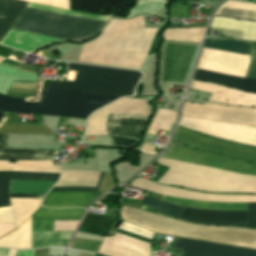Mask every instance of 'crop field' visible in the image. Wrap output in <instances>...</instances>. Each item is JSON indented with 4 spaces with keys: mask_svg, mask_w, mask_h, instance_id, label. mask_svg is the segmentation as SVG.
I'll use <instances>...</instances> for the list:
<instances>
[{
    "mask_svg": "<svg viewBox=\"0 0 256 256\" xmlns=\"http://www.w3.org/2000/svg\"><path fill=\"white\" fill-rule=\"evenodd\" d=\"M111 141H112V145L129 147L136 144L138 140H133L129 138L111 137Z\"/></svg>",
    "mask_w": 256,
    "mask_h": 256,
    "instance_id": "34",
    "label": "crop field"
},
{
    "mask_svg": "<svg viewBox=\"0 0 256 256\" xmlns=\"http://www.w3.org/2000/svg\"><path fill=\"white\" fill-rule=\"evenodd\" d=\"M180 115L256 126L254 108L228 107L208 102L205 105L185 102Z\"/></svg>",
    "mask_w": 256,
    "mask_h": 256,
    "instance_id": "7",
    "label": "crop field"
},
{
    "mask_svg": "<svg viewBox=\"0 0 256 256\" xmlns=\"http://www.w3.org/2000/svg\"><path fill=\"white\" fill-rule=\"evenodd\" d=\"M175 247L194 256H256V251L179 238ZM182 256H189L184 255Z\"/></svg>",
    "mask_w": 256,
    "mask_h": 256,
    "instance_id": "11",
    "label": "crop field"
},
{
    "mask_svg": "<svg viewBox=\"0 0 256 256\" xmlns=\"http://www.w3.org/2000/svg\"><path fill=\"white\" fill-rule=\"evenodd\" d=\"M0 223H14L10 207L0 208Z\"/></svg>",
    "mask_w": 256,
    "mask_h": 256,
    "instance_id": "35",
    "label": "crop field"
},
{
    "mask_svg": "<svg viewBox=\"0 0 256 256\" xmlns=\"http://www.w3.org/2000/svg\"><path fill=\"white\" fill-rule=\"evenodd\" d=\"M205 28L166 29L164 39L200 43Z\"/></svg>",
    "mask_w": 256,
    "mask_h": 256,
    "instance_id": "24",
    "label": "crop field"
},
{
    "mask_svg": "<svg viewBox=\"0 0 256 256\" xmlns=\"http://www.w3.org/2000/svg\"><path fill=\"white\" fill-rule=\"evenodd\" d=\"M114 221V218L88 213L78 231L96 235H104L108 232Z\"/></svg>",
    "mask_w": 256,
    "mask_h": 256,
    "instance_id": "21",
    "label": "crop field"
},
{
    "mask_svg": "<svg viewBox=\"0 0 256 256\" xmlns=\"http://www.w3.org/2000/svg\"><path fill=\"white\" fill-rule=\"evenodd\" d=\"M0 247L31 248V217L17 230L1 237Z\"/></svg>",
    "mask_w": 256,
    "mask_h": 256,
    "instance_id": "16",
    "label": "crop field"
},
{
    "mask_svg": "<svg viewBox=\"0 0 256 256\" xmlns=\"http://www.w3.org/2000/svg\"><path fill=\"white\" fill-rule=\"evenodd\" d=\"M167 158L229 170L239 174L256 175V166L223 156L175 145L170 147Z\"/></svg>",
    "mask_w": 256,
    "mask_h": 256,
    "instance_id": "8",
    "label": "crop field"
},
{
    "mask_svg": "<svg viewBox=\"0 0 256 256\" xmlns=\"http://www.w3.org/2000/svg\"><path fill=\"white\" fill-rule=\"evenodd\" d=\"M153 149H154V146H150L149 144L145 143L143 148H142V150H141V152L155 155L156 152L153 151Z\"/></svg>",
    "mask_w": 256,
    "mask_h": 256,
    "instance_id": "39",
    "label": "crop field"
},
{
    "mask_svg": "<svg viewBox=\"0 0 256 256\" xmlns=\"http://www.w3.org/2000/svg\"><path fill=\"white\" fill-rule=\"evenodd\" d=\"M121 215L123 220L157 233L256 249V230L193 225L125 206Z\"/></svg>",
    "mask_w": 256,
    "mask_h": 256,
    "instance_id": "4",
    "label": "crop field"
},
{
    "mask_svg": "<svg viewBox=\"0 0 256 256\" xmlns=\"http://www.w3.org/2000/svg\"><path fill=\"white\" fill-rule=\"evenodd\" d=\"M245 77L256 79V43L253 42L251 46V62Z\"/></svg>",
    "mask_w": 256,
    "mask_h": 256,
    "instance_id": "30",
    "label": "crop field"
},
{
    "mask_svg": "<svg viewBox=\"0 0 256 256\" xmlns=\"http://www.w3.org/2000/svg\"><path fill=\"white\" fill-rule=\"evenodd\" d=\"M58 151L9 149L0 145V160H53Z\"/></svg>",
    "mask_w": 256,
    "mask_h": 256,
    "instance_id": "15",
    "label": "crop field"
},
{
    "mask_svg": "<svg viewBox=\"0 0 256 256\" xmlns=\"http://www.w3.org/2000/svg\"><path fill=\"white\" fill-rule=\"evenodd\" d=\"M173 139L195 148L256 163V149L253 148L208 138L180 127Z\"/></svg>",
    "mask_w": 256,
    "mask_h": 256,
    "instance_id": "9",
    "label": "crop field"
},
{
    "mask_svg": "<svg viewBox=\"0 0 256 256\" xmlns=\"http://www.w3.org/2000/svg\"><path fill=\"white\" fill-rule=\"evenodd\" d=\"M2 60H4V58H1V57H0V62H1Z\"/></svg>",
    "mask_w": 256,
    "mask_h": 256,
    "instance_id": "46",
    "label": "crop field"
},
{
    "mask_svg": "<svg viewBox=\"0 0 256 256\" xmlns=\"http://www.w3.org/2000/svg\"><path fill=\"white\" fill-rule=\"evenodd\" d=\"M203 47L250 56L249 42L245 41L206 38Z\"/></svg>",
    "mask_w": 256,
    "mask_h": 256,
    "instance_id": "22",
    "label": "crop field"
},
{
    "mask_svg": "<svg viewBox=\"0 0 256 256\" xmlns=\"http://www.w3.org/2000/svg\"><path fill=\"white\" fill-rule=\"evenodd\" d=\"M10 167L59 170V166H52V161H0V171H10Z\"/></svg>",
    "mask_w": 256,
    "mask_h": 256,
    "instance_id": "25",
    "label": "crop field"
},
{
    "mask_svg": "<svg viewBox=\"0 0 256 256\" xmlns=\"http://www.w3.org/2000/svg\"><path fill=\"white\" fill-rule=\"evenodd\" d=\"M16 227L29 218L40 206L42 199L9 198Z\"/></svg>",
    "mask_w": 256,
    "mask_h": 256,
    "instance_id": "19",
    "label": "crop field"
},
{
    "mask_svg": "<svg viewBox=\"0 0 256 256\" xmlns=\"http://www.w3.org/2000/svg\"><path fill=\"white\" fill-rule=\"evenodd\" d=\"M9 197H26V198H43L44 195H35V194H8Z\"/></svg>",
    "mask_w": 256,
    "mask_h": 256,
    "instance_id": "37",
    "label": "crop field"
},
{
    "mask_svg": "<svg viewBox=\"0 0 256 256\" xmlns=\"http://www.w3.org/2000/svg\"><path fill=\"white\" fill-rule=\"evenodd\" d=\"M163 200L178 203L185 206L220 211H244L247 212V203H221L198 200H185L164 196ZM142 204L151 206L172 217L183 219L188 207L171 204L145 197ZM190 208L183 220L196 223L217 225H238L247 227V213L243 212H219Z\"/></svg>",
    "mask_w": 256,
    "mask_h": 256,
    "instance_id": "5",
    "label": "crop field"
},
{
    "mask_svg": "<svg viewBox=\"0 0 256 256\" xmlns=\"http://www.w3.org/2000/svg\"><path fill=\"white\" fill-rule=\"evenodd\" d=\"M10 172H0V206L10 205L7 190Z\"/></svg>",
    "mask_w": 256,
    "mask_h": 256,
    "instance_id": "28",
    "label": "crop field"
},
{
    "mask_svg": "<svg viewBox=\"0 0 256 256\" xmlns=\"http://www.w3.org/2000/svg\"><path fill=\"white\" fill-rule=\"evenodd\" d=\"M248 227L256 228V203H248Z\"/></svg>",
    "mask_w": 256,
    "mask_h": 256,
    "instance_id": "33",
    "label": "crop field"
},
{
    "mask_svg": "<svg viewBox=\"0 0 256 256\" xmlns=\"http://www.w3.org/2000/svg\"><path fill=\"white\" fill-rule=\"evenodd\" d=\"M78 221H54V231H74Z\"/></svg>",
    "mask_w": 256,
    "mask_h": 256,
    "instance_id": "31",
    "label": "crop field"
},
{
    "mask_svg": "<svg viewBox=\"0 0 256 256\" xmlns=\"http://www.w3.org/2000/svg\"><path fill=\"white\" fill-rule=\"evenodd\" d=\"M28 2L18 0H0V38L28 5ZM29 7L64 13L68 15L106 22L109 17L96 16L87 13L67 11L30 3ZM27 7L10 27L11 29L66 39L84 41L103 27V22L68 16L64 14ZM9 29L0 39V45L12 47L21 51L33 53L38 48L50 43L64 41L61 39L16 31Z\"/></svg>",
    "mask_w": 256,
    "mask_h": 256,
    "instance_id": "2",
    "label": "crop field"
},
{
    "mask_svg": "<svg viewBox=\"0 0 256 256\" xmlns=\"http://www.w3.org/2000/svg\"><path fill=\"white\" fill-rule=\"evenodd\" d=\"M48 249L49 248L36 250L35 256H47Z\"/></svg>",
    "mask_w": 256,
    "mask_h": 256,
    "instance_id": "41",
    "label": "crop field"
},
{
    "mask_svg": "<svg viewBox=\"0 0 256 256\" xmlns=\"http://www.w3.org/2000/svg\"><path fill=\"white\" fill-rule=\"evenodd\" d=\"M16 250L9 249L7 256H15Z\"/></svg>",
    "mask_w": 256,
    "mask_h": 256,
    "instance_id": "44",
    "label": "crop field"
},
{
    "mask_svg": "<svg viewBox=\"0 0 256 256\" xmlns=\"http://www.w3.org/2000/svg\"><path fill=\"white\" fill-rule=\"evenodd\" d=\"M104 172L100 173V177L94 191L95 187L86 186H66V185H56L54 189L63 190H83V191H94L93 192H83V191H63V190H52L49 192L48 196L43 201V206L53 207V208H64V207H86L91 200L96 196L92 195L96 193L99 186L100 180Z\"/></svg>",
    "mask_w": 256,
    "mask_h": 256,
    "instance_id": "10",
    "label": "crop field"
},
{
    "mask_svg": "<svg viewBox=\"0 0 256 256\" xmlns=\"http://www.w3.org/2000/svg\"><path fill=\"white\" fill-rule=\"evenodd\" d=\"M8 249H0V256H6Z\"/></svg>",
    "mask_w": 256,
    "mask_h": 256,
    "instance_id": "43",
    "label": "crop field"
},
{
    "mask_svg": "<svg viewBox=\"0 0 256 256\" xmlns=\"http://www.w3.org/2000/svg\"><path fill=\"white\" fill-rule=\"evenodd\" d=\"M12 51V49L0 46V55L6 57L7 55H9ZM13 53V52H12ZM8 57V56H7Z\"/></svg>",
    "mask_w": 256,
    "mask_h": 256,
    "instance_id": "40",
    "label": "crop field"
},
{
    "mask_svg": "<svg viewBox=\"0 0 256 256\" xmlns=\"http://www.w3.org/2000/svg\"><path fill=\"white\" fill-rule=\"evenodd\" d=\"M6 114H7L6 112L0 111V121H1V119H2Z\"/></svg>",
    "mask_w": 256,
    "mask_h": 256,
    "instance_id": "45",
    "label": "crop field"
},
{
    "mask_svg": "<svg viewBox=\"0 0 256 256\" xmlns=\"http://www.w3.org/2000/svg\"><path fill=\"white\" fill-rule=\"evenodd\" d=\"M175 114L176 113L169 110L158 109L157 115L148 133L155 134L157 129H165L169 131L174 122Z\"/></svg>",
    "mask_w": 256,
    "mask_h": 256,
    "instance_id": "26",
    "label": "crop field"
},
{
    "mask_svg": "<svg viewBox=\"0 0 256 256\" xmlns=\"http://www.w3.org/2000/svg\"><path fill=\"white\" fill-rule=\"evenodd\" d=\"M216 15L256 20V5L227 0L224 2Z\"/></svg>",
    "mask_w": 256,
    "mask_h": 256,
    "instance_id": "18",
    "label": "crop field"
},
{
    "mask_svg": "<svg viewBox=\"0 0 256 256\" xmlns=\"http://www.w3.org/2000/svg\"><path fill=\"white\" fill-rule=\"evenodd\" d=\"M146 118L109 115L107 132L110 136L138 138Z\"/></svg>",
    "mask_w": 256,
    "mask_h": 256,
    "instance_id": "14",
    "label": "crop field"
},
{
    "mask_svg": "<svg viewBox=\"0 0 256 256\" xmlns=\"http://www.w3.org/2000/svg\"><path fill=\"white\" fill-rule=\"evenodd\" d=\"M35 250H18L16 256H34Z\"/></svg>",
    "mask_w": 256,
    "mask_h": 256,
    "instance_id": "38",
    "label": "crop field"
},
{
    "mask_svg": "<svg viewBox=\"0 0 256 256\" xmlns=\"http://www.w3.org/2000/svg\"><path fill=\"white\" fill-rule=\"evenodd\" d=\"M15 228L14 224H0V236Z\"/></svg>",
    "mask_w": 256,
    "mask_h": 256,
    "instance_id": "36",
    "label": "crop field"
},
{
    "mask_svg": "<svg viewBox=\"0 0 256 256\" xmlns=\"http://www.w3.org/2000/svg\"><path fill=\"white\" fill-rule=\"evenodd\" d=\"M73 232H32V248L65 247Z\"/></svg>",
    "mask_w": 256,
    "mask_h": 256,
    "instance_id": "20",
    "label": "crop field"
},
{
    "mask_svg": "<svg viewBox=\"0 0 256 256\" xmlns=\"http://www.w3.org/2000/svg\"><path fill=\"white\" fill-rule=\"evenodd\" d=\"M98 253L110 256H149L150 245L116 233L114 237L104 238Z\"/></svg>",
    "mask_w": 256,
    "mask_h": 256,
    "instance_id": "12",
    "label": "crop field"
},
{
    "mask_svg": "<svg viewBox=\"0 0 256 256\" xmlns=\"http://www.w3.org/2000/svg\"><path fill=\"white\" fill-rule=\"evenodd\" d=\"M60 174L11 172L10 179L57 181Z\"/></svg>",
    "mask_w": 256,
    "mask_h": 256,
    "instance_id": "27",
    "label": "crop field"
},
{
    "mask_svg": "<svg viewBox=\"0 0 256 256\" xmlns=\"http://www.w3.org/2000/svg\"><path fill=\"white\" fill-rule=\"evenodd\" d=\"M119 229H122V230H125V231H128V232H131V233H135V234H138V235H141V236H144V237H147V238H152V232H149L147 230H144V229H141V228H138L136 226H133V225H130L128 223H125L123 222L121 224V226L119 227Z\"/></svg>",
    "mask_w": 256,
    "mask_h": 256,
    "instance_id": "29",
    "label": "crop field"
},
{
    "mask_svg": "<svg viewBox=\"0 0 256 256\" xmlns=\"http://www.w3.org/2000/svg\"><path fill=\"white\" fill-rule=\"evenodd\" d=\"M77 70L75 82L50 81L45 87L109 96L132 95L141 73L131 70L68 63ZM43 88L39 103L24 102L0 94V109L15 112L87 118L88 115L117 97Z\"/></svg>",
    "mask_w": 256,
    "mask_h": 256,
    "instance_id": "1",
    "label": "crop field"
},
{
    "mask_svg": "<svg viewBox=\"0 0 256 256\" xmlns=\"http://www.w3.org/2000/svg\"><path fill=\"white\" fill-rule=\"evenodd\" d=\"M178 125L198 132L213 135L221 139L256 146V127L183 116L181 117Z\"/></svg>",
    "mask_w": 256,
    "mask_h": 256,
    "instance_id": "6",
    "label": "crop field"
},
{
    "mask_svg": "<svg viewBox=\"0 0 256 256\" xmlns=\"http://www.w3.org/2000/svg\"><path fill=\"white\" fill-rule=\"evenodd\" d=\"M68 9L69 0H25Z\"/></svg>",
    "mask_w": 256,
    "mask_h": 256,
    "instance_id": "32",
    "label": "crop field"
},
{
    "mask_svg": "<svg viewBox=\"0 0 256 256\" xmlns=\"http://www.w3.org/2000/svg\"><path fill=\"white\" fill-rule=\"evenodd\" d=\"M210 27L243 31L241 39L244 40L254 41L256 36V22L214 16Z\"/></svg>",
    "mask_w": 256,
    "mask_h": 256,
    "instance_id": "17",
    "label": "crop field"
},
{
    "mask_svg": "<svg viewBox=\"0 0 256 256\" xmlns=\"http://www.w3.org/2000/svg\"><path fill=\"white\" fill-rule=\"evenodd\" d=\"M55 182L10 180L8 193L46 194Z\"/></svg>",
    "mask_w": 256,
    "mask_h": 256,
    "instance_id": "23",
    "label": "crop field"
},
{
    "mask_svg": "<svg viewBox=\"0 0 256 256\" xmlns=\"http://www.w3.org/2000/svg\"><path fill=\"white\" fill-rule=\"evenodd\" d=\"M249 62L250 57L248 56L204 48L197 67L244 77ZM215 72L197 68L194 78L232 87L244 92L256 93V80ZM189 88L212 93L208 100L211 102L256 107V94L244 93L195 80L192 81Z\"/></svg>",
    "mask_w": 256,
    "mask_h": 256,
    "instance_id": "3",
    "label": "crop field"
},
{
    "mask_svg": "<svg viewBox=\"0 0 256 256\" xmlns=\"http://www.w3.org/2000/svg\"><path fill=\"white\" fill-rule=\"evenodd\" d=\"M83 209H56L55 220H80ZM55 209L39 207L32 215V231H53Z\"/></svg>",
    "mask_w": 256,
    "mask_h": 256,
    "instance_id": "13",
    "label": "crop field"
},
{
    "mask_svg": "<svg viewBox=\"0 0 256 256\" xmlns=\"http://www.w3.org/2000/svg\"><path fill=\"white\" fill-rule=\"evenodd\" d=\"M7 136L8 134L0 133V142L7 145Z\"/></svg>",
    "mask_w": 256,
    "mask_h": 256,
    "instance_id": "42",
    "label": "crop field"
}]
</instances>
